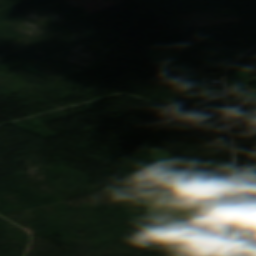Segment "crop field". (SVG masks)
<instances>
[{"mask_svg": "<svg viewBox=\"0 0 256 256\" xmlns=\"http://www.w3.org/2000/svg\"><path fill=\"white\" fill-rule=\"evenodd\" d=\"M242 174L254 181L255 199L251 200L248 212L242 215L249 207L243 204L244 200L252 198L251 185L231 186L206 217L234 239L256 232V224L252 222L256 221V168Z\"/></svg>", "mask_w": 256, "mask_h": 256, "instance_id": "obj_1", "label": "crop field"}, {"mask_svg": "<svg viewBox=\"0 0 256 256\" xmlns=\"http://www.w3.org/2000/svg\"><path fill=\"white\" fill-rule=\"evenodd\" d=\"M152 222L172 241H185L188 227L202 215L169 188L138 195Z\"/></svg>", "mask_w": 256, "mask_h": 256, "instance_id": "obj_2", "label": "crop field"}, {"mask_svg": "<svg viewBox=\"0 0 256 256\" xmlns=\"http://www.w3.org/2000/svg\"><path fill=\"white\" fill-rule=\"evenodd\" d=\"M152 161L158 165L159 179L202 215L205 214L220 193L190 183L195 174L171 169L170 152L150 149Z\"/></svg>", "mask_w": 256, "mask_h": 256, "instance_id": "obj_3", "label": "crop field"}, {"mask_svg": "<svg viewBox=\"0 0 256 256\" xmlns=\"http://www.w3.org/2000/svg\"><path fill=\"white\" fill-rule=\"evenodd\" d=\"M149 54L155 63L161 66L159 71L182 74L202 89L205 88L207 74L188 70L190 64L182 63L180 55L151 49H149Z\"/></svg>", "mask_w": 256, "mask_h": 256, "instance_id": "obj_4", "label": "crop field"}, {"mask_svg": "<svg viewBox=\"0 0 256 256\" xmlns=\"http://www.w3.org/2000/svg\"><path fill=\"white\" fill-rule=\"evenodd\" d=\"M248 83H251L249 70L236 71L233 78L224 80L225 89L230 95V102L256 101V90H250Z\"/></svg>", "mask_w": 256, "mask_h": 256, "instance_id": "obj_5", "label": "crop field"}, {"mask_svg": "<svg viewBox=\"0 0 256 256\" xmlns=\"http://www.w3.org/2000/svg\"><path fill=\"white\" fill-rule=\"evenodd\" d=\"M221 250L226 252L227 254H234L236 256H242L246 254L245 251H247L245 248H243L241 245H239L236 241L233 239L225 241L219 245H217Z\"/></svg>", "mask_w": 256, "mask_h": 256, "instance_id": "obj_6", "label": "crop field"}, {"mask_svg": "<svg viewBox=\"0 0 256 256\" xmlns=\"http://www.w3.org/2000/svg\"><path fill=\"white\" fill-rule=\"evenodd\" d=\"M205 103L224 102V94L222 91L203 90Z\"/></svg>", "mask_w": 256, "mask_h": 256, "instance_id": "obj_7", "label": "crop field"}, {"mask_svg": "<svg viewBox=\"0 0 256 256\" xmlns=\"http://www.w3.org/2000/svg\"><path fill=\"white\" fill-rule=\"evenodd\" d=\"M237 241L251 251L256 250V233L237 239Z\"/></svg>", "mask_w": 256, "mask_h": 256, "instance_id": "obj_8", "label": "crop field"}, {"mask_svg": "<svg viewBox=\"0 0 256 256\" xmlns=\"http://www.w3.org/2000/svg\"><path fill=\"white\" fill-rule=\"evenodd\" d=\"M176 256H189L188 252H186L185 247H176L174 248Z\"/></svg>", "mask_w": 256, "mask_h": 256, "instance_id": "obj_9", "label": "crop field"}, {"mask_svg": "<svg viewBox=\"0 0 256 256\" xmlns=\"http://www.w3.org/2000/svg\"><path fill=\"white\" fill-rule=\"evenodd\" d=\"M249 202H250V199L249 200H246L244 203L249 205Z\"/></svg>", "mask_w": 256, "mask_h": 256, "instance_id": "obj_10", "label": "crop field"}, {"mask_svg": "<svg viewBox=\"0 0 256 256\" xmlns=\"http://www.w3.org/2000/svg\"><path fill=\"white\" fill-rule=\"evenodd\" d=\"M246 256H256V253L249 254V255H246Z\"/></svg>", "mask_w": 256, "mask_h": 256, "instance_id": "obj_11", "label": "crop field"}]
</instances>
